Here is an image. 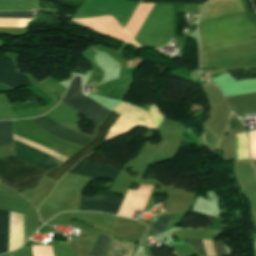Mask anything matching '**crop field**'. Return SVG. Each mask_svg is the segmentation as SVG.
Masks as SVG:
<instances>
[{
	"label": "crop field",
	"instance_id": "4",
	"mask_svg": "<svg viewBox=\"0 0 256 256\" xmlns=\"http://www.w3.org/2000/svg\"><path fill=\"white\" fill-rule=\"evenodd\" d=\"M171 25L172 6L170 4L151 5L135 40L144 47L161 46L170 38Z\"/></svg>",
	"mask_w": 256,
	"mask_h": 256
},
{
	"label": "crop field",
	"instance_id": "16",
	"mask_svg": "<svg viewBox=\"0 0 256 256\" xmlns=\"http://www.w3.org/2000/svg\"><path fill=\"white\" fill-rule=\"evenodd\" d=\"M172 216H161L158 221L153 225L152 229L160 232ZM163 230V229H162Z\"/></svg>",
	"mask_w": 256,
	"mask_h": 256
},
{
	"label": "crop field",
	"instance_id": "15",
	"mask_svg": "<svg viewBox=\"0 0 256 256\" xmlns=\"http://www.w3.org/2000/svg\"><path fill=\"white\" fill-rule=\"evenodd\" d=\"M63 5L72 6L80 9L87 0H53Z\"/></svg>",
	"mask_w": 256,
	"mask_h": 256
},
{
	"label": "crop field",
	"instance_id": "5",
	"mask_svg": "<svg viewBox=\"0 0 256 256\" xmlns=\"http://www.w3.org/2000/svg\"><path fill=\"white\" fill-rule=\"evenodd\" d=\"M47 171L15 156L0 160V182L18 193L36 187Z\"/></svg>",
	"mask_w": 256,
	"mask_h": 256
},
{
	"label": "crop field",
	"instance_id": "20",
	"mask_svg": "<svg viewBox=\"0 0 256 256\" xmlns=\"http://www.w3.org/2000/svg\"><path fill=\"white\" fill-rule=\"evenodd\" d=\"M11 256V255H10Z\"/></svg>",
	"mask_w": 256,
	"mask_h": 256
},
{
	"label": "crop field",
	"instance_id": "12",
	"mask_svg": "<svg viewBox=\"0 0 256 256\" xmlns=\"http://www.w3.org/2000/svg\"><path fill=\"white\" fill-rule=\"evenodd\" d=\"M235 81L256 78V68L227 71Z\"/></svg>",
	"mask_w": 256,
	"mask_h": 256
},
{
	"label": "crop field",
	"instance_id": "18",
	"mask_svg": "<svg viewBox=\"0 0 256 256\" xmlns=\"http://www.w3.org/2000/svg\"><path fill=\"white\" fill-rule=\"evenodd\" d=\"M0 16H22V17H33V11L29 12H0Z\"/></svg>",
	"mask_w": 256,
	"mask_h": 256
},
{
	"label": "crop field",
	"instance_id": "1",
	"mask_svg": "<svg viewBox=\"0 0 256 256\" xmlns=\"http://www.w3.org/2000/svg\"><path fill=\"white\" fill-rule=\"evenodd\" d=\"M62 101L69 104L75 110L83 113L87 119L95 122L98 126L109 113L107 109L83 95L81 79L79 76L74 78L68 92L63 97ZM32 120L37 127L59 138L65 139L78 145L84 146L94 138V136H89L72 130L68 127H63L59 123L47 118L46 116L34 118Z\"/></svg>",
	"mask_w": 256,
	"mask_h": 256
},
{
	"label": "crop field",
	"instance_id": "11",
	"mask_svg": "<svg viewBox=\"0 0 256 256\" xmlns=\"http://www.w3.org/2000/svg\"><path fill=\"white\" fill-rule=\"evenodd\" d=\"M12 142V121L0 122V146Z\"/></svg>",
	"mask_w": 256,
	"mask_h": 256
},
{
	"label": "crop field",
	"instance_id": "17",
	"mask_svg": "<svg viewBox=\"0 0 256 256\" xmlns=\"http://www.w3.org/2000/svg\"><path fill=\"white\" fill-rule=\"evenodd\" d=\"M84 160H91V161H97V162H101V163H105L106 164V158L97 152H93L90 155H88L87 157L83 158Z\"/></svg>",
	"mask_w": 256,
	"mask_h": 256
},
{
	"label": "crop field",
	"instance_id": "19",
	"mask_svg": "<svg viewBox=\"0 0 256 256\" xmlns=\"http://www.w3.org/2000/svg\"><path fill=\"white\" fill-rule=\"evenodd\" d=\"M221 223L219 217L215 218V220L212 223L211 229L220 230Z\"/></svg>",
	"mask_w": 256,
	"mask_h": 256
},
{
	"label": "crop field",
	"instance_id": "10",
	"mask_svg": "<svg viewBox=\"0 0 256 256\" xmlns=\"http://www.w3.org/2000/svg\"><path fill=\"white\" fill-rule=\"evenodd\" d=\"M184 241L188 242L199 255L207 256L200 240L184 238ZM212 243L218 256H227L221 242L212 241Z\"/></svg>",
	"mask_w": 256,
	"mask_h": 256
},
{
	"label": "crop field",
	"instance_id": "14",
	"mask_svg": "<svg viewBox=\"0 0 256 256\" xmlns=\"http://www.w3.org/2000/svg\"><path fill=\"white\" fill-rule=\"evenodd\" d=\"M205 0H141V2L155 3H203Z\"/></svg>",
	"mask_w": 256,
	"mask_h": 256
},
{
	"label": "crop field",
	"instance_id": "8",
	"mask_svg": "<svg viewBox=\"0 0 256 256\" xmlns=\"http://www.w3.org/2000/svg\"><path fill=\"white\" fill-rule=\"evenodd\" d=\"M0 82L12 89L32 85L11 61L2 58H0Z\"/></svg>",
	"mask_w": 256,
	"mask_h": 256
},
{
	"label": "crop field",
	"instance_id": "13",
	"mask_svg": "<svg viewBox=\"0 0 256 256\" xmlns=\"http://www.w3.org/2000/svg\"><path fill=\"white\" fill-rule=\"evenodd\" d=\"M109 240H110V237L100 234V236L91 252V256H102L107 247Z\"/></svg>",
	"mask_w": 256,
	"mask_h": 256
},
{
	"label": "crop field",
	"instance_id": "9",
	"mask_svg": "<svg viewBox=\"0 0 256 256\" xmlns=\"http://www.w3.org/2000/svg\"><path fill=\"white\" fill-rule=\"evenodd\" d=\"M8 230H9V212L0 210V253L7 252Z\"/></svg>",
	"mask_w": 256,
	"mask_h": 256
},
{
	"label": "crop field",
	"instance_id": "6",
	"mask_svg": "<svg viewBox=\"0 0 256 256\" xmlns=\"http://www.w3.org/2000/svg\"><path fill=\"white\" fill-rule=\"evenodd\" d=\"M122 117L114 112H110L107 117L100 124L96 137L70 158L65 160V162L60 165L58 168L50 171L46 176L56 179H59L73 167V165L83 156L89 154L93 150L97 149L110 135L113 129L117 126V124L121 121Z\"/></svg>",
	"mask_w": 256,
	"mask_h": 256
},
{
	"label": "crop field",
	"instance_id": "2",
	"mask_svg": "<svg viewBox=\"0 0 256 256\" xmlns=\"http://www.w3.org/2000/svg\"><path fill=\"white\" fill-rule=\"evenodd\" d=\"M204 52L256 39V25L246 12L204 22Z\"/></svg>",
	"mask_w": 256,
	"mask_h": 256
},
{
	"label": "crop field",
	"instance_id": "3",
	"mask_svg": "<svg viewBox=\"0 0 256 256\" xmlns=\"http://www.w3.org/2000/svg\"><path fill=\"white\" fill-rule=\"evenodd\" d=\"M69 172L114 180L120 171L110 165L80 160ZM121 203L122 200L117 198L114 193L104 191L98 193L95 198H82L80 210L117 214Z\"/></svg>",
	"mask_w": 256,
	"mask_h": 256
},
{
	"label": "crop field",
	"instance_id": "7",
	"mask_svg": "<svg viewBox=\"0 0 256 256\" xmlns=\"http://www.w3.org/2000/svg\"><path fill=\"white\" fill-rule=\"evenodd\" d=\"M15 156L38 165L48 171L63 161L14 140Z\"/></svg>",
	"mask_w": 256,
	"mask_h": 256
}]
</instances>
